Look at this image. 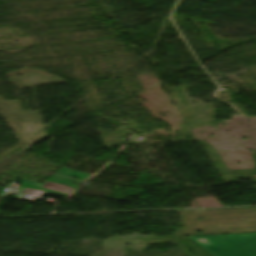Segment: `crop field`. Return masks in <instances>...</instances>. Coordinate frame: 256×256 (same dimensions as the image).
Here are the masks:
<instances>
[{
	"mask_svg": "<svg viewBox=\"0 0 256 256\" xmlns=\"http://www.w3.org/2000/svg\"><path fill=\"white\" fill-rule=\"evenodd\" d=\"M189 238L210 256H256V234Z\"/></svg>",
	"mask_w": 256,
	"mask_h": 256,
	"instance_id": "crop-field-1",
	"label": "crop field"
}]
</instances>
